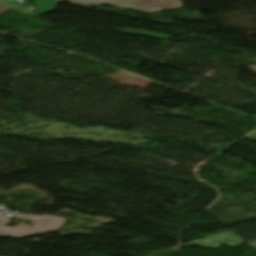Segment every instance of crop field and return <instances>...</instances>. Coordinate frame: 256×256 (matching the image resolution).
Segmentation results:
<instances>
[{"label": "crop field", "mask_w": 256, "mask_h": 256, "mask_svg": "<svg viewBox=\"0 0 256 256\" xmlns=\"http://www.w3.org/2000/svg\"><path fill=\"white\" fill-rule=\"evenodd\" d=\"M39 6L38 12L53 11L61 2L59 0H33Z\"/></svg>", "instance_id": "crop-field-4"}, {"label": "crop field", "mask_w": 256, "mask_h": 256, "mask_svg": "<svg viewBox=\"0 0 256 256\" xmlns=\"http://www.w3.org/2000/svg\"><path fill=\"white\" fill-rule=\"evenodd\" d=\"M124 33L136 35V36H142V37H149V38H155V39H162V40H168L171 37L152 33V32H146V31H138V30H124Z\"/></svg>", "instance_id": "crop-field-5"}, {"label": "crop field", "mask_w": 256, "mask_h": 256, "mask_svg": "<svg viewBox=\"0 0 256 256\" xmlns=\"http://www.w3.org/2000/svg\"><path fill=\"white\" fill-rule=\"evenodd\" d=\"M61 2L79 3H110L115 6L136 10L143 9L147 13H153L160 9L181 7L176 0H60Z\"/></svg>", "instance_id": "crop-field-2"}, {"label": "crop field", "mask_w": 256, "mask_h": 256, "mask_svg": "<svg viewBox=\"0 0 256 256\" xmlns=\"http://www.w3.org/2000/svg\"><path fill=\"white\" fill-rule=\"evenodd\" d=\"M190 243L197 245L199 247L217 249L222 244H225L230 248L236 247L244 243V241H242L239 237H237L231 231H228V232L216 234L213 236H209L203 239H199L196 241H192Z\"/></svg>", "instance_id": "crop-field-3"}, {"label": "crop field", "mask_w": 256, "mask_h": 256, "mask_svg": "<svg viewBox=\"0 0 256 256\" xmlns=\"http://www.w3.org/2000/svg\"><path fill=\"white\" fill-rule=\"evenodd\" d=\"M11 218L31 219L33 226H30V227L15 226L13 228L4 227L5 224L9 222ZM65 222H66L65 219L52 216V215L32 216V215L16 214L14 217L0 215V235L11 236V237L38 235L51 230L60 229Z\"/></svg>", "instance_id": "crop-field-1"}]
</instances>
